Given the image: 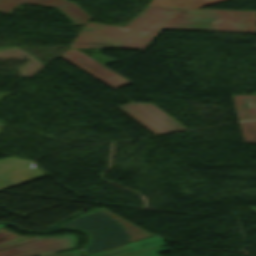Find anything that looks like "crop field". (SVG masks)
I'll return each mask as SVG.
<instances>
[{
    "label": "crop field",
    "mask_w": 256,
    "mask_h": 256,
    "mask_svg": "<svg viewBox=\"0 0 256 256\" xmlns=\"http://www.w3.org/2000/svg\"><path fill=\"white\" fill-rule=\"evenodd\" d=\"M79 249L73 250V251H68V252H63L59 254H54V255H49V256H77Z\"/></svg>",
    "instance_id": "crop-field-13"
},
{
    "label": "crop field",
    "mask_w": 256,
    "mask_h": 256,
    "mask_svg": "<svg viewBox=\"0 0 256 256\" xmlns=\"http://www.w3.org/2000/svg\"><path fill=\"white\" fill-rule=\"evenodd\" d=\"M238 120L256 119V96L233 95Z\"/></svg>",
    "instance_id": "crop-field-10"
},
{
    "label": "crop field",
    "mask_w": 256,
    "mask_h": 256,
    "mask_svg": "<svg viewBox=\"0 0 256 256\" xmlns=\"http://www.w3.org/2000/svg\"><path fill=\"white\" fill-rule=\"evenodd\" d=\"M118 107L155 135L186 130L152 104L130 103Z\"/></svg>",
    "instance_id": "crop-field-5"
},
{
    "label": "crop field",
    "mask_w": 256,
    "mask_h": 256,
    "mask_svg": "<svg viewBox=\"0 0 256 256\" xmlns=\"http://www.w3.org/2000/svg\"><path fill=\"white\" fill-rule=\"evenodd\" d=\"M60 57L109 85L110 87L116 89L118 87L124 86L131 83L127 79L123 78L119 74L100 64L99 62L93 60L87 55L81 53L76 49H69Z\"/></svg>",
    "instance_id": "crop-field-7"
},
{
    "label": "crop field",
    "mask_w": 256,
    "mask_h": 256,
    "mask_svg": "<svg viewBox=\"0 0 256 256\" xmlns=\"http://www.w3.org/2000/svg\"><path fill=\"white\" fill-rule=\"evenodd\" d=\"M19 3L57 7L78 25L92 18L76 3L67 0H0V12L11 14Z\"/></svg>",
    "instance_id": "crop-field-8"
},
{
    "label": "crop field",
    "mask_w": 256,
    "mask_h": 256,
    "mask_svg": "<svg viewBox=\"0 0 256 256\" xmlns=\"http://www.w3.org/2000/svg\"><path fill=\"white\" fill-rule=\"evenodd\" d=\"M248 208H249V209H251L253 212H255V213H256V207L249 206Z\"/></svg>",
    "instance_id": "crop-field-14"
},
{
    "label": "crop field",
    "mask_w": 256,
    "mask_h": 256,
    "mask_svg": "<svg viewBox=\"0 0 256 256\" xmlns=\"http://www.w3.org/2000/svg\"><path fill=\"white\" fill-rule=\"evenodd\" d=\"M59 227H72L89 233L91 241L85 254L153 236L102 207L81 214Z\"/></svg>",
    "instance_id": "crop-field-2"
},
{
    "label": "crop field",
    "mask_w": 256,
    "mask_h": 256,
    "mask_svg": "<svg viewBox=\"0 0 256 256\" xmlns=\"http://www.w3.org/2000/svg\"><path fill=\"white\" fill-rule=\"evenodd\" d=\"M3 226V225H0V227Z\"/></svg>",
    "instance_id": "crop-field-15"
},
{
    "label": "crop field",
    "mask_w": 256,
    "mask_h": 256,
    "mask_svg": "<svg viewBox=\"0 0 256 256\" xmlns=\"http://www.w3.org/2000/svg\"><path fill=\"white\" fill-rule=\"evenodd\" d=\"M256 12L179 9L163 28L254 32Z\"/></svg>",
    "instance_id": "crop-field-3"
},
{
    "label": "crop field",
    "mask_w": 256,
    "mask_h": 256,
    "mask_svg": "<svg viewBox=\"0 0 256 256\" xmlns=\"http://www.w3.org/2000/svg\"><path fill=\"white\" fill-rule=\"evenodd\" d=\"M163 239L157 236L128 245L89 254L87 256H160L157 252L170 250L162 248Z\"/></svg>",
    "instance_id": "crop-field-9"
},
{
    "label": "crop field",
    "mask_w": 256,
    "mask_h": 256,
    "mask_svg": "<svg viewBox=\"0 0 256 256\" xmlns=\"http://www.w3.org/2000/svg\"><path fill=\"white\" fill-rule=\"evenodd\" d=\"M176 10L146 7L125 27L87 22L69 48L142 49L155 36L151 33L158 32Z\"/></svg>",
    "instance_id": "crop-field-1"
},
{
    "label": "crop field",
    "mask_w": 256,
    "mask_h": 256,
    "mask_svg": "<svg viewBox=\"0 0 256 256\" xmlns=\"http://www.w3.org/2000/svg\"><path fill=\"white\" fill-rule=\"evenodd\" d=\"M18 236L5 228L0 229V256H40L54 254L57 251L73 248L76 238L71 235L59 237Z\"/></svg>",
    "instance_id": "crop-field-4"
},
{
    "label": "crop field",
    "mask_w": 256,
    "mask_h": 256,
    "mask_svg": "<svg viewBox=\"0 0 256 256\" xmlns=\"http://www.w3.org/2000/svg\"><path fill=\"white\" fill-rule=\"evenodd\" d=\"M224 0H152L148 6L198 8Z\"/></svg>",
    "instance_id": "crop-field-11"
},
{
    "label": "crop field",
    "mask_w": 256,
    "mask_h": 256,
    "mask_svg": "<svg viewBox=\"0 0 256 256\" xmlns=\"http://www.w3.org/2000/svg\"><path fill=\"white\" fill-rule=\"evenodd\" d=\"M245 143H256V121L239 123Z\"/></svg>",
    "instance_id": "crop-field-12"
},
{
    "label": "crop field",
    "mask_w": 256,
    "mask_h": 256,
    "mask_svg": "<svg viewBox=\"0 0 256 256\" xmlns=\"http://www.w3.org/2000/svg\"><path fill=\"white\" fill-rule=\"evenodd\" d=\"M30 161L8 158L0 160V191L46 177Z\"/></svg>",
    "instance_id": "crop-field-6"
}]
</instances>
